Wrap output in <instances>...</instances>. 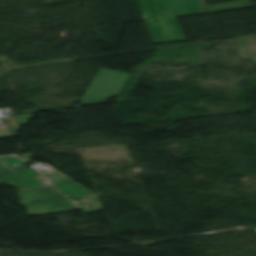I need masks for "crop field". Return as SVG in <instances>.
Returning a JSON list of instances; mask_svg holds the SVG:
<instances>
[{"label": "crop field", "mask_w": 256, "mask_h": 256, "mask_svg": "<svg viewBox=\"0 0 256 256\" xmlns=\"http://www.w3.org/2000/svg\"><path fill=\"white\" fill-rule=\"evenodd\" d=\"M155 44L186 41L176 17L201 14L198 0H136Z\"/></svg>", "instance_id": "crop-field-1"}, {"label": "crop field", "mask_w": 256, "mask_h": 256, "mask_svg": "<svg viewBox=\"0 0 256 256\" xmlns=\"http://www.w3.org/2000/svg\"><path fill=\"white\" fill-rule=\"evenodd\" d=\"M16 190L24 195L20 204L29 217L79 209L52 186L39 189L25 186Z\"/></svg>", "instance_id": "crop-field-2"}, {"label": "crop field", "mask_w": 256, "mask_h": 256, "mask_svg": "<svg viewBox=\"0 0 256 256\" xmlns=\"http://www.w3.org/2000/svg\"><path fill=\"white\" fill-rule=\"evenodd\" d=\"M131 74L100 68L80 106L108 103L118 96Z\"/></svg>", "instance_id": "crop-field-3"}, {"label": "crop field", "mask_w": 256, "mask_h": 256, "mask_svg": "<svg viewBox=\"0 0 256 256\" xmlns=\"http://www.w3.org/2000/svg\"><path fill=\"white\" fill-rule=\"evenodd\" d=\"M25 163L27 162L18 157H1L0 184L15 188L25 185L35 188L50 185L38 171L32 172L24 166Z\"/></svg>", "instance_id": "crop-field-4"}, {"label": "crop field", "mask_w": 256, "mask_h": 256, "mask_svg": "<svg viewBox=\"0 0 256 256\" xmlns=\"http://www.w3.org/2000/svg\"><path fill=\"white\" fill-rule=\"evenodd\" d=\"M49 177L53 180L51 183L77 204L84 214L102 210L96 195L91 191L61 173L49 175Z\"/></svg>", "instance_id": "crop-field-5"}, {"label": "crop field", "mask_w": 256, "mask_h": 256, "mask_svg": "<svg viewBox=\"0 0 256 256\" xmlns=\"http://www.w3.org/2000/svg\"><path fill=\"white\" fill-rule=\"evenodd\" d=\"M199 2L201 5L202 14L253 7L250 0H242L237 2L217 4L211 6H207L206 0H199Z\"/></svg>", "instance_id": "crop-field-6"}, {"label": "crop field", "mask_w": 256, "mask_h": 256, "mask_svg": "<svg viewBox=\"0 0 256 256\" xmlns=\"http://www.w3.org/2000/svg\"><path fill=\"white\" fill-rule=\"evenodd\" d=\"M30 114L24 115V116H16V117H10L8 123L5 125V127L9 130V132L16 137V132L20 130V126L25 124L28 119L32 118Z\"/></svg>", "instance_id": "crop-field-7"}, {"label": "crop field", "mask_w": 256, "mask_h": 256, "mask_svg": "<svg viewBox=\"0 0 256 256\" xmlns=\"http://www.w3.org/2000/svg\"><path fill=\"white\" fill-rule=\"evenodd\" d=\"M10 137L5 131L4 129L0 126V138H7Z\"/></svg>", "instance_id": "crop-field-8"}, {"label": "crop field", "mask_w": 256, "mask_h": 256, "mask_svg": "<svg viewBox=\"0 0 256 256\" xmlns=\"http://www.w3.org/2000/svg\"><path fill=\"white\" fill-rule=\"evenodd\" d=\"M31 155H32V154H25V155H19V156H21L22 158H24V159L30 161V160H31Z\"/></svg>", "instance_id": "crop-field-9"}]
</instances>
